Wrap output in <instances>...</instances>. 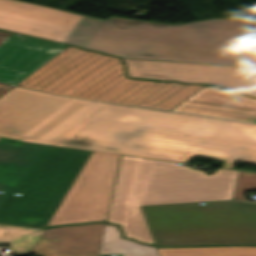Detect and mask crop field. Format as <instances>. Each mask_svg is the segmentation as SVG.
<instances>
[{
  "label": "crop field",
  "mask_w": 256,
  "mask_h": 256,
  "mask_svg": "<svg viewBox=\"0 0 256 256\" xmlns=\"http://www.w3.org/2000/svg\"><path fill=\"white\" fill-rule=\"evenodd\" d=\"M0 136L188 162L256 163V124L58 97L14 87L0 98Z\"/></svg>",
  "instance_id": "crop-field-1"
},
{
  "label": "crop field",
  "mask_w": 256,
  "mask_h": 256,
  "mask_svg": "<svg viewBox=\"0 0 256 256\" xmlns=\"http://www.w3.org/2000/svg\"><path fill=\"white\" fill-rule=\"evenodd\" d=\"M256 20L211 19L183 25L109 17L99 20L18 0H0V28L137 59L256 69Z\"/></svg>",
  "instance_id": "crop-field-2"
},
{
  "label": "crop field",
  "mask_w": 256,
  "mask_h": 256,
  "mask_svg": "<svg viewBox=\"0 0 256 256\" xmlns=\"http://www.w3.org/2000/svg\"><path fill=\"white\" fill-rule=\"evenodd\" d=\"M90 153L0 137V222L46 227Z\"/></svg>",
  "instance_id": "crop-field-3"
},
{
  "label": "crop field",
  "mask_w": 256,
  "mask_h": 256,
  "mask_svg": "<svg viewBox=\"0 0 256 256\" xmlns=\"http://www.w3.org/2000/svg\"><path fill=\"white\" fill-rule=\"evenodd\" d=\"M238 172L207 176L173 162L122 156L107 222L119 224L124 237L153 244L140 205L231 199Z\"/></svg>",
  "instance_id": "crop-field-4"
},
{
  "label": "crop field",
  "mask_w": 256,
  "mask_h": 256,
  "mask_svg": "<svg viewBox=\"0 0 256 256\" xmlns=\"http://www.w3.org/2000/svg\"><path fill=\"white\" fill-rule=\"evenodd\" d=\"M18 86L59 95L172 110L202 85L126 79L116 57L67 47Z\"/></svg>",
  "instance_id": "crop-field-5"
},
{
  "label": "crop field",
  "mask_w": 256,
  "mask_h": 256,
  "mask_svg": "<svg viewBox=\"0 0 256 256\" xmlns=\"http://www.w3.org/2000/svg\"><path fill=\"white\" fill-rule=\"evenodd\" d=\"M154 244H256V203L222 201L141 206Z\"/></svg>",
  "instance_id": "crop-field-6"
},
{
  "label": "crop field",
  "mask_w": 256,
  "mask_h": 256,
  "mask_svg": "<svg viewBox=\"0 0 256 256\" xmlns=\"http://www.w3.org/2000/svg\"><path fill=\"white\" fill-rule=\"evenodd\" d=\"M120 158L92 151L48 225L106 221Z\"/></svg>",
  "instance_id": "crop-field-7"
},
{
  "label": "crop field",
  "mask_w": 256,
  "mask_h": 256,
  "mask_svg": "<svg viewBox=\"0 0 256 256\" xmlns=\"http://www.w3.org/2000/svg\"><path fill=\"white\" fill-rule=\"evenodd\" d=\"M129 77L209 83L256 97V72L225 65L175 63L123 58Z\"/></svg>",
  "instance_id": "crop-field-8"
},
{
  "label": "crop field",
  "mask_w": 256,
  "mask_h": 256,
  "mask_svg": "<svg viewBox=\"0 0 256 256\" xmlns=\"http://www.w3.org/2000/svg\"><path fill=\"white\" fill-rule=\"evenodd\" d=\"M66 47L0 31V96Z\"/></svg>",
  "instance_id": "crop-field-9"
},
{
  "label": "crop field",
  "mask_w": 256,
  "mask_h": 256,
  "mask_svg": "<svg viewBox=\"0 0 256 256\" xmlns=\"http://www.w3.org/2000/svg\"><path fill=\"white\" fill-rule=\"evenodd\" d=\"M175 111L256 122V99L206 86Z\"/></svg>",
  "instance_id": "crop-field-10"
},
{
  "label": "crop field",
  "mask_w": 256,
  "mask_h": 256,
  "mask_svg": "<svg viewBox=\"0 0 256 256\" xmlns=\"http://www.w3.org/2000/svg\"><path fill=\"white\" fill-rule=\"evenodd\" d=\"M105 224L76 226L64 256H98Z\"/></svg>",
  "instance_id": "crop-field-11"
},
{
  "label": "crop field",
  "mask_w": 256,
  "mask_h": 256,
  "mask_svg": "<svg viewBox=\"0 0 256 256\" xmlns=\"http://www.w3.org/2000/svg\"><path fill=\"white\" fill-rule=\"evenodd\" d=\"M99 254L126 256H158L155 247L120 238L117 226L106 225Z\"/></svg>",
  "instance_id": "crop-field-12"
},
{
  "label": "crop field",
  "mask_w": 256,
  "mask_h": 256,
  "mask_svg": "<svg viewBox=\"0 0 256 256\" xmlns=\"http://www.w3.org/2000/svg\"><path fill=\"white\" fill-rule=\"evenodd\" d=\"M44 229L0 224V243L12 244L13 254H29Z\"/></svg>",
  "instance_id": "crop-field-13"
},
{
  "label": "crop field",
  "mask_w": 256,
  "mask_h": 256,
  "mask_svg": "<svg viewBox=\"0 0 256 256\" xmlns=\"http://www.w3.org/2000/svg\"><path fill=\"white\" fill-rule=\"evenodd\" d=\"M75 226L45 229L32 249L44 256H63Z\"/></svg>",
  "instance_id": "crop-field-14"
},
{
  "label": "crop field",
  "mask_w": 256,
  "mask_h": 256,
  "mask_svg": "<svg viewBox=\"0 0 256 256\" xmlns=\"http://www.w3.org/2000/svg\"><path fill=\"white\" fill-rule=\"evenodd\" d=\"M159 256H256V247L156 248Z\"/></svg>",
  "instance_id": "crop-field-15"
},
{
  "label": "crop field",
  "mask_w": 256,
  "mask_h": 256,
  "mask_svg": "<svg viewBox=\"0 0 256 256\" xmlns=\"http://www.w3.org/2000/svg\"><path fill=\"white\" fill-rule=\"evenodd\" d=\"M245 189H256V173L239 172L238 180L232 199L246 200L243 196Z\"/></svg>",
  "instance_id": "crop-field-16"
},
{
  "label": "crop field",
  "mask_w": 256,
  "mask_h": 256,
  "mask_svg": "<svg viewBox=\"0 0 256 256\" xmlns=\"http://www.w3.org/2000/svg\"><path fill=\"white\" fill-rule=\"evenodd\" d=\"M249 41H256V27Z\"/></svg>",
  "instance_id": "crop-field-17"
}]
</instances>
